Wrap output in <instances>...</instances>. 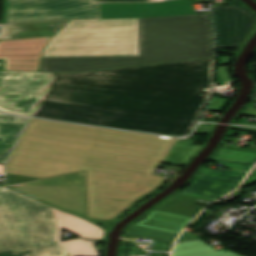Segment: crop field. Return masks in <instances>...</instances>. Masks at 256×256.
I'll list each match as a JSON object with an SVG mask.
<instances>
[{"label": "crop field", "instance_id": "crop-field-1", "mask_svg": "<svg viewBox=\"0 0 256 256\" xmlns=\"http://www.w3.org/2000/svg\"><path fill=\"white\" fill-rule=\"evenodd\" d=\"M173 141L30 119L6 164L7 185L86 171L88 217L106 225L165 183L151 173Z\"/></svg>", "mask_w": 256, "mask_h": 256}, {"label": "crop field", "instance_id": "crop-field-2", "mask_svg": "<svg viewBox=\"0 0 256 256\" xmlns=\"http://www.w3.org/2000/svg\"><path fill=\"white\" fill-rule=\"evenodd\" d=\"M213 59L54 73L32 116L183 136L208 98L200 94L211 87Z\"/></svg>", "mask_w": 256, "mask_h": 256}, {"label": "crop field", "instance_id": "crop-field-3", "mask_svg": "<svg viewBox=\"0 0 256 256\" xmlns=\"http://www.w3.org/2000/svg\"><path fill=\"white\" fill-rule=\"evenodd\" d=\"M101 19L137 18L139 66L214 57L208 13L189 0L99 4Z\"/></svg>", "mask_w": 256, "mask_h": 256}, {"label": "crop field", "instance_id": "crop-field-4", "mask_svg": "<svg viewBox=\"0 0 256 256\" xmlns=\"http://www.w3.org/2000/svg\"><path fill=\"white\" fill-rule=\"evenodd\" d=\"M61 228L102 239L104 230L71 214L0 186V252L30 250V256H97L92 242H61Z\"/></svg>", "mask_w": 256, "mask_h": 256}, {"label": "crop field", "instance_id": "crop-field-5", "mask_svg": "<svg viewBox=\"0 0 256 256\" xmlns=\"http://www.w3.org/2000/svg\"><path fill=\"white\" fill-rule=\"evenodd\" d=\"M138 66L136 19L70 21L50 39L39 72Z\"/></svg>", "mask_w": 256, "mask_h": 256}, {"label": "crop field", "instance_id": "crop-field-6", "mask_svg": "<svg viewBox=\"0 0 256 256\" xmlns=\"http://www.w3.org/2000/svg\"><path fill=\"white\" fill-rule=\"evenodd\" d=\"M97 18L96 0H4L1 24Z\"/></svg>", "mask_w": 256, "mask_h": 256}, {"label": "crop field", "instance_id": "crop-field-7", "mask_svg": "<svg viewBox=\"0 0 256 256\" xmlns=\"http://www.w3.org/2000/svg\"><path fill=\"white\" fill-rule=\"evenodd\" d=\"M7 187L60 209L87 217L85 173L83 172Z\"/></svg>", "mask_w": 256, "mask_h": 256}, {"label": "crop field", "instance_id": "crop-field-8", "mask_svg": "<svg viewBox=\"0 0 256 256\" xmlns=\"http://www.w3.org/2000/svg\"><path fill=\"white\" fill-rule=\"evenodd\" d=\"M52 74L0 72V111L31 116Z\"/></svg>", "mask_w": 256, "mask_h": 256}, {"label": "crop field", "instance_id": "crop-field-9", "mask_svg": "<svg viewBox=\"0 0 256 256\" xmlns=\"http://www.w3.org/2000/svg\"><path fill=\"white\" fill-rule=\"evenodd\" d=\"M216 48L236 47L256 25V16L236 6L213 7Z\"/></svg>", "mask_w": 256, "mask_h": 256}, {"label": "crop field", "instance_id": "crop-field-10", "mask_svg": "<svg viewBox=\"0 0 256 256\" xmlns=\"http://www.w3.org/2000/svg\"><path fill=\"white\" fill-rule=\"evenodd\" d=\"M51 37L0 41V60H5L4 71L38 72L41 55Z\"/></svg>", "mask_w": 256, "mask_h": 256}, {"label": "crop field", "instance_id": "crop-field-11", "mask_svg": "<svg viewBox=\"0 0 256 256\" xmlns=\"http://www.w3.org/2000/svg\"><path fill=\"white\" fill-rule=\"evenodd\" d=\"M191 219L153 211L145 220L130 228L127 233L173 243L176 235Z\"/></svg>", "mask_w": 256, "mask_h": 256}, {"label": "crop field", "instance_id": "crop-field-12", "mask_svg": "<svg viewBox=\"0 0 256 256\" xmlns=\"http://www.w3.org/2000/svg\"><path fill=\"white\" fill-rule=\"evenodd\" d=\"M69 21L3 26L0 40L55 35Z\"/></svg>", "mask_w": 256, "mask_h": 256}, {"label": "crop field", "instance_id": "crop-field-13", "mask_svg": "<svg viewBox=\"0 0 256 256\" xmlns=\"http://www.w3.org/2000/svg\"><path fill=\"white\" fill-rule=\"evenodd\" d=\"M26 119L0 114V163H4Z\"/></svg>", "mask_w": 256, "mask_h": 256}, {"label": "crop field", "instance_id": "crop-field-14", "mask_svg": "<svg viewBox=\"0 0 256 256\" xmlns=\"http://www.w3.org/2000/svg\"><path fill=\"white\" fill-rule=\"evenodd\" d=\"M235 188V186L195 178L190 186L180 194L215 200Z\"/></svg>", "mask_w": 256, "mask_h": 256}, {"label": "crop field", "instance_id": "crop-field-15", "mask_svg": "<svg viewBox=\"0 0 256 256\" xmlns=\"http://www.w3.org/2000/svg\"><path fill=\"white\" fill-rule=\"evenodd\" d=\"M196 200L208 202V200L177 194L156 208L157 210L166 213L194 217L203 208L193 205Z\"/></svg>", "mask_w": 256, "mask_h": 256}, {"label": "crop field", "instance_id": "crop-field-16", "mask_svg": "<svg viewBox=\"0 0 256 256\" xmlns=\"http://www.w3.org/2000/svg\"><path fill=\"white\" fill-rule=\"evenodd\" d=\"M225 251V250H224ZM223 254L216 252L202 241L177 244L173 256H240L229 250Z\"/></svg>", "mask_w": 256, "mask_h": 256}, {"label": "crop field", "instance_id": "crop-field-17", "mask_svg": "<svg viewBox=\"0 0 256 256\" xmlns=\"http://www.w3.org/2000/svg\"><path fill=\"white\" fill-rule=\"evenodd\" d=\"M199 148L200 146L198 145L191 146L186 143L175 142L164 158L163 163L185 165Z\"/></svg>", "mask_w": 256, "mask_h": 256}, {"label": "crop field", "instance_id": "crop-field-18", "mask_svg": "<svg viewBox=\"0 0 256 256\" xmlns=\"http://www.w3.org/2000/svg\"><path fill=\"white\" fill-rule=\"evenodd\" d=\"M213 160L251 168L256 163V153L221 149Z\"/></svg>", "mask_w": 256, "mask_h": 256}, {"label": "crop field", "instance_id": "crop-field-19", "mask_svg": "<svg viewBox=\"0 0 256 256\" xmlns=\"http://www.w3.org/2000/svg\"><path fill=\"white\" fill-rule=\"evenodd\" d=\"M245 175L244 173L218 168L215 171L204 169L197 177L238 186Z\"/></svg>", "mask_w": 256, "mask_h": 256}, {"label": "crop field", "instance_id": "crop-field-20", "mask_svg": "<svg viewBox=\"0 0 256 256\" xmlns=\"http://www.w3.org/2000/svg\"><path fill=\"white\" fill-rule=\"evenodd\" d=\"M216 79L220 85H227L229 82H233L227 73V66L216 67Z\"/></svg>", "mask_w": 256, "mask_h": 256}, {"label": "crop field", "instance_id": "crop-field-21", "mask_svg": "<svg viewBox=\"0 0 256 256\" xmlns=\"http://www.w3.org/2000/svg\"><path fill=\"white\" fill-rule=\"evenodd\" d=\"M228 102H229V99L213 98L207 109L215 110V111H222Z\"/></svg>", "mask_w": 256, "mask_h": 256}, {"label": "crop field", "instance_id": "crop-field-22", "mask_svg": "<svg viewBox=\"0 0 256 256\" xmlns=\"http://www.w3.org/2000/svg\"><path fill=\"white\" fill-rule=\"evenodd\" d=\"M0 256H29V251H26L20 254H17L13 251H7V252L0 253Z\"/></svg>", "mask_w": 256, "mask_h": 256}, {"label": "crop field", "instance_id": "crop-field-23", "mask_svg": "<svg viewBox=\"0 0 256 256\" xmlns=\"http://www.w3.org/2000/svg\"><path fill=\"white\" fill-rule=\"evenodd\" d=\"M211 130H212L211 127L198 125V127H197V129L195 130L194 133L205 134V133H210Z\"/></svg>", "mask_w": 256, "mask_h": 256}, {"label": "crop field", "instance_id": "crop-field-24", "mask_svg": "<svg viewBox=\"0 0 256 256\" xmlns=\"http://www.w3.org/2000/svg\"><path fill=\"white\" fill-rule=\"evenodd\" d=\"M256 182V170H253L247 180L243 183L242 186L248 185L250 183Z\"/></svg>", "mask_w": 256, "mask_h": 256}, {"label": "crop field", "instance_id": "crop-field-25", "mask_svg": "<svg viewBox=\"0 0 256 256\" xmlns=\"http://www.w3.org/2000/svg\"><path fill=\"white\" fill-rule=\"evenodd\" d=\"M224 167H228V168H233V169H237V170H242V171H246L248 172L249 169L248 168H244V167H239V166H235V165H230V164H223Z\"/></svg>", "mask_w": 256, "mask_h": 256}, {"label": "crop field", "instance_id": "crop-field-26", "mask_svg": "<svg viewBox=\"0 0 256 256\" xmlns=\"http://www.w3.org/2000/svg\"><path fill=\"white\" fill-rule=\"evenodd\" d=\"M230 62V57L228 58H218V64L219 65H224Z\"/></svg>", "mask_w": 256, "mask_h": 256}, {"label": "crop field", "instance_id": "crop-field-27", "mask_svg": "<svg viewBox=\"0 0 256 256\" xmlns=\"http://www.w3.org/2000/svg\"><path fill=\"white\" fill-rule=\"evenodd\" d=\"M100 2H110V1H121V2H136V1H145V0H99Z\"/></svg>", "mask_w": 256, "mask_h": 256}, {"label": "crop field", "instance_id": "crop-field-28", "mask_svg": "<svg viewBox=\"0 0 256 256\" xmlns=\"http://www.w3.org/2000/svg\"><path fill=\"white\" fill-rule=\"evenodd\" d=\"M212 91H213V84H212L211 89L204 90L202 95L209 96Z\"/></svg>", "mask_w": 256, "mask_h": 256}, {"label": "crop field", "instance_id": "crop-field-29", "mask_svg": "<svg viewBox=\"0 0 256 256\" xmlns=\"http://www.w3.org/2000/svg\"><path fill=\"white\" fill-rule=\"evenodd\" d=\"M256 169V168H255Z\"/></svg>", "mask_w": 256, "mask_h": 256}]
</instances>
